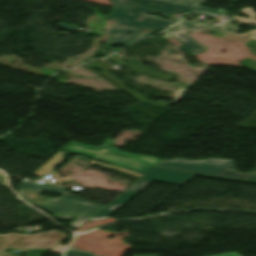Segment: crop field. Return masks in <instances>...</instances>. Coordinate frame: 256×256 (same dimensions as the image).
<instances>
[{"mask_svg": "<svg viewBox=\"0 0 256 256\" xmlns=\"http://www.w3.org/2000/svg\"><path fill=\"white\" fill-rule=\"evenodd\" d=\"M91 163L99 165V166H103V167H106V168H109V169H114V170H117L119 172L132 175V176H134L136 178H140L142 176V174L131 172V171H127V170H123V169H120V168H117V167H114V166H111V165H108V164H105V163H101V162H98V161L92 160Z\"/></svg>", "mask_w": 256, "mask_h": 256, "instance_id": "crop-field-13", "label": "crop field"}, {"mask_svg": "<svg viewBox=\"0 0 256 256\" xmlns=\"http://www.w3.org/2000/svg\"><path fill=\"white\" fill-rule=\"evenodd\" d=\"M43 190L59 192L62 195L55 199L38 196V193ZM18 193L24 201L52 213L55 218L73 221L70 223L73 229L78 228L104 207V205L84 200L51 184L42 186L30 181H23L18 186ZM71 216H75L77 221L70 219Z\"/></svg>", "mask_w": 256, "mask_h": 256, "instance_id": "crop-field-1", "label": "crop field"}, {"mask_svg": "<svg viewBox=\"0 0 256 256\" xmlns=\"http://www.w3.org/2000/svg\"><path fill=\"white\" fill-rule=\"evenodd\" d=\"M64 256H94L90 252L78 251L73 248H68L65 251Z\"/></svg>", "mask_w": 256, "mask_h": 256, "instance_id": "crop-field-14", "label": "crop field"}, {"mask_svg": "<svg viewBox=\"0 0 256 256\" xmlns=\"http://www.w3.org/2000/svg\"><path fill=\"white\" fill-rule=\"evenodd\" d=\"M110 1L112 10L109 18L119 21L106 30L105 33L108 35L106 42L108 43L126 45L131 43L132 39L137 38V36H141L142 38L153 35V33L140 34L142 27L149 30H158L173 24L167 20L144 16L147 12L152 14H157V12L122 0ZM115 5H117V7ZM125 32H132L133 35L126 36L124 35Z\"/></svg>", "mask_w": 256, "mask_h": 256, "instance_id": "crop-field-2", "label": "crop field"}, {"mask_svg": "<svg viewBox=\"0 0 256 256\" xmlns=\"http://www.w3.org/2000/svg\"><path fill=\"white\" fill-rule=\"evenodd\" d=\"M215 256H240V255L237 254L236 252H233V253H227V254H221V255H215Z\"/></svg>", "mask_w": 256, "mask_h": 256, "instance_id": "crop-field-17", "label": "crop field"}, {"mask_svg": "<svg viewBox=\"0 0 256 256\" xmlns=\"http://www.w3.org/2000/svg\"><path fill=\"white\" fill-rule=\"evenodd\" d=\"M66 235L53 230L28 236L18 233L0 235V256L4 248H51Z\"/></svg>", "mask_w": 256, "mask_h": 256, "instance_id": "crop-field-7", "label": "crop field"}, {"mask_svg": "<svg viewBox=\"0 0 256 256\" xmlns=\"http://www.w3.org/2000/svg\"><path fill=\"white\" fill-rule=\"evenodd\" d=\"M232 2H238V3H240L238 0H232ZM232 2H231V3H232Z\"/></svg>", "mask_w": 256, "mask_h": 256, "instance_id": "crop-field-20", "label": "crop field"}, {"mask_svg": "<svg viewBox=\"0 0 256 256\" xmlns=\"http://www.w3.org/2000/svg\"><path fill=\"white\" fill-rule=\"evenodd\" d=\"M156 166L178 169L182 171L198 172L211 175L229 176L241 179H256V175L242 174L233 167V160L213 158L208 160L189 161L175 158L170 161L162 160ZM232 167V170H228Z\"/></svg>", "mask_w": 256, "mask_h": 256, "instance_id": "crop-field-5", "label": "crop field"}, {"mask_svg": "<svg viewBox=\"0 0 256 256\" xmlns=\"http://www.w3.org/2000/svg\"><path fill=\"white\" fill-rule=\"evenodd\" d=\"M193 174L153 167L90 220L105 219L152 180L182 184Z\"/></svg>", "mask_w": 256, "mask_h": 256, "instance_id": "crop-field-4", "label": "crop field"}, {"mask_svg": "<svg viewBox=\"0 0 256 256\" xmlns=\"http://www.w3.org/2000/svg\"><path fill=\"white\" fill-rule=\"evenodd\" d=\"M197 175H198V176H204V177H210V178L227 179V178H223V177L210 176V175H202V174H197ZM227 180H233V179H227ZM234 181L248 182V183H256V181H245V180H234Z\"/></svg>", "mask_w": 256, "mask_h": 256, "instance_id": "crop-field-15", "label": "crop field"}, {"mask_svg": "<svg viewBox=\"0 0 256 256\" xmlns=\"http://www.w3.org/2000/svg\"><path fill=\"white\" fill-rule=\"evenodd\" d=\"M66 153L62 150L58 151L54 156H52L48 161H46L41 167H39L32 175L42 177L45 174L59 176L56 174L52 169L57 166L63 159L61 158L62 155Z\"/></svg>", "mask_w": 256, "mask_h": 256, "instance_id": "crop-field-11", "label": "crop field"}, {"mask_svg": "<svg viewBox=\"0 0 256 256\" xmlns=\"http://www.w3.org/2000/svg\"><path fill=\"white\" fill-rule=\"evenodd\" d=\"M108 59L110 60H113L121 65H124V66H129L133 71H137V72H141V73H145V74H148L150 76H153V77H156V78H159V79H163V80H172L175 78V75L173 74H170V73H166V74H160L157 70L155 71H151L150 69L148 68H144L141 66V63L142 61H140L138 59V57H133L131 58L128 62L129 64H126L125 62L121 61V60H118L116 58H113L111 56L107 57Z\"/></svg>", "mask_w": 256, "mask_h": 256, "instance_id": "crop-field-10", "label": "crop field"}, {"mask_svg": "<svg viewBox=\"0 0 256 256\" xmlns=\"http://www.w3.org/2000/svg\"><path fill=\"white\" fill-rule=\"evenodd\" d=\"M251 7H245L243 8L242 12L246 13L248 16H250V19L247 18H241V17H237V16H232L233 18H237L239 19V21L244 22V23H251V24H255L256 25V20H254L253 18L256 16V13L251 11Z\"/></svg>", "mask_w": 256, "mask_h": 256, "instance_id": "crop-field-12", "label": "crop field"}, {"mask_svg": "<svg viewBox=\"0 0 256 256\" xmlns=\"http://www.w3.org/2000/svg\"><path fill=\"white\" fill-rule=\"evenodd\" d=\"M143 6L161 11V12H174V11H183V10H206L220 12L216 10H211L202 6H199L198 3L203 2L204 0H129ZM156 2V4H153ZM205 12V11H203ZM210 14H216L207 12ZM222 13V12H220Z\"/></svg>", "mask_w": 256, "mask_h": 256, "instance_id": "crop-field-8", "label": "crop field"}, {"mask_svg": "<svg viewBox=\"0 0 256 256\" xmlns=\"http://www.w3.org/2000/svg\"><path fill=\"white\" fill-rule=\"evenodd\" d=\"M85 67L87 68H92V67H98L100 69H104V72H101L99 73L102 77H104L105 79H107L108 81H110L112 84H114L115 86H117L118 88L122 89L123 91H125L127 94H129L130 96L132 97H135L137 98L139 101L141 102H145V103H149V104H152V105H156V106H160V107H164V108H167L168 107V103H164V102H159L158 104L156 103H153V102H150L148 101L147 99H145L141 94H139L138 92L136 91H132L126 87L123 86V83L117 79L113 74H108L106 71L108 69H110L111 67L97 61V60H94V61H90L88 62L87 64L84 65Z\"/></svg>", "mask_w": 256, "mask_h": 256, "instance_id": "crop-field-9", "label": "crop field"}, {"mask_svg": "<svg viewBox=\"0 0 256 256\" xmlns=\"http://www.w3.org/2000/svg\"><path fill=\"white\" fill-rule=\"evenodd\" d=\"M134 256H153V255H134Z\"/></svg>", "mask_w": 256, "mask_h": 256, "instance_id": "crop-field-19", "label": "crop field"}, {"mask_svg": "<svg viewBox=\"0 0 256 256\" xmlns=\"http://www.w3.org/2000/svg\"><path fill=\"white\" fill-rule=\"evenodd\" d=\"M179 31H173V32H164V35L161 36V38L166 39L169 37H175L177 40L181 42V48L184 49L186 52H188L191 55H195L201 51H203L206 46H203L199 43H197L192 37H190L185 31H197V30H202L204 28L210 29V30H216V31H221V32H226V33H231L235 34L236 31H238V27L241 25H237L234 27H229L233 29L232 32H227L224 31L227 27H216V26H211L209 24L203 23V22H187L184 20L183 17L180 18L178 22ZM249 33H251V36H248L249 38L256 39V30H252L248 33L245 34H235V35H242V36H247Z\"/></svg>", "mask_w": 256, "mask_h": 256, "instance_id": "crop-field-6", "label": "crop field"}, {"mask_svg": "<svg viewBox=\"0 0 256 256\" xmlns=\"http://www.w3.org/2000/svg\"><path fill=\"white\" fill-rule=\"evenodd\" d=\"M169 17H171L172 19H174L172 16H169ZM175 20V19H174ZM176 21V20H175Z\"/></svg>", "mask_w": 256, "mask_h": 256, "instance_id": "crop-field-21", "label": "crop field"}, {"mask_svg": "<svg viewBox=\"0 0 256 256\" xmlns=\"http://www.w3.org/2000/svg\"><path fill=\"white\" fill-rule=\"evenodd\" d=\"M113 142L105 139V143L100 147H93L76 142H69L62 150L85 154L86 157L101 160L119 167L127 168L139 173H145L150 167L160 160L156 157L137 156L126 152H119L116 147H111Z\"/></svg>", "mask_w": 256, "mask_h": 256, "instance_id": "crop-field-3", "label": "crop field"}, {"mask_svg": "<svg viewBox=\"0 0 256 256\" xmlns=\"http://www.w3.org/2000/svg\"><path fill=\"white\" fill-rule=\"evenodd\" d=\"M113 44H108V43H106L103 47H102V49H106V50H108L109 48H110V46H112Z\"/></svg>", "mask_w": 256, "mask_h": 256, "instance_id": "crop-field-18", "label": "crop field"}, {"mask_svg": "<svg viewBox=\"0 0 256 256\" xmlns=\"http://www.w3.org/2000/svg\"><path fill=\"white\" fill-rule=\"evenodd\" d=\"M64 247H65L64 245L58 244L53 249H51V251L55 252V253H61L63 251Z\"/></svg>", "mask_w": 256, "mask_h": 256, "instance_id": "crop-field-16", "label": "crop field"}]
</instances>
